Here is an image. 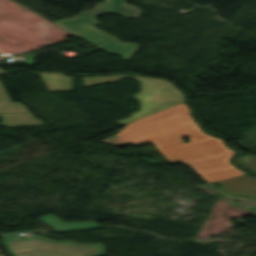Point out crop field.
<instances>
[{
	"instance_id": "obj_1",
	"label": "crop field",
	"mask_w": 256,
	"mask_h": 256,
	"mask_svg": "<svg viewBox=\"0 0 256 256\" xmlns=\"http://www.w3.org/2000/svg\"><path fill=\"white\" fill-rule=\"evenodd\" d=\"M185 136L191 141L183 144L182 137ZM148 141L156 144L171 163L189 165L208 182L245 173L229 163V157L236 151L227 148L222 140L202 132L184 102L133 121L115 136L101 142L137 146Z\"/></svg>"
},
{
	"instance_id": "obj_2",
	"label": "crop field",
	"mask_w": 256,
	"mask_h": 256,
	"mask_svg": "<svg viewBox=\"0 0 256 256\" xmlns=\"http://www.w3.org/2000/svg\"><path fill=\"white\" fill-rule=\"evenodd\" d=\"M103 11L121 14L125 17H139L140 15L139 8L126 5L123 0H108L107 3L87 11L75 19H63L53 23L104 52L119 54L123 60H128L139 44L122 43L118 39L94 28L93 26L98 24L94 16Z\"/></svg>"
},
{
	"instance_id": "obj_3",
	"label": "crop field",
	"mask_w": 256,
	"mask_h": 256,
	"mask_svg": "<svg viewBox=\"0 0 256 256\" xmlns=\"http://www.w3.org/2000/svg\"><path fill=\"white\" fill-rule=\"evenodd\" d=\"M134 77L140 83L141 89L131 98L140 103V108L139 111L132 113L130 118L116 121L121 125L184 101L181 94L165 80Z\"/></svg>"
},
{
	"instance_id": "obj_4",
	"label": "crop field",
	"mask_w": 256,
	"mask_h": 256,
	"mask_svg": "<svg viewBox=\"0 0 256 256\" xmlns=\"http://www.w3.org/2000/svg\"><path fill=\"white\" fill-rule=\"evenodd\" d=\"M30 116L31 118H28ZM0 117L3 125L8 127L44 125L34 119L33 115L20 102H12L0 83Z\"/></svg>"
},
{
	"instance_id": "obj_5",
	"label": "crop field",
	"mask_w": 256,
	"mask_h": 256,
	"mask_svg": "<svg viewBox=\"0 0 256 256\" xmlns=\"http://www.w3.org/2000/svg\"><path fill=\"white\" fill-rule=\"evenodd\" d=\"M219 182L224 185L216 189L221 193L232 197L245 196L256 200V177L254 176L244 174Z\"/></svg>"
},
{
	"instance_id": "obj_6",
	"label": "crop field",
	"mask_w": 256,
	"mask_h": 256,
	"mask_svg": "<svg viewBox=\"0 0 256 256\" xmlns=\"http://www.w3.org/2000/svg\"><path fill=\"white\" fill-rule=\"evenodd\" d=\"M234 161L240 167H242L248 171L256 173V160L255 159H253L249 156H246V157L238 156L234 159Z\"/></svg>"
},
{
	"instance_id": "obj_7",
	"label": "crop field",
	"mask_w": 256,
	"mask_h": 256,
	"mask_svg": "<svg viewBox=\"0 0 256 256\" xmlns=\"http://www.w3.org/2000/svg\"><path fill=\"white\" fill-rule=\"evenodd\" d=\"M114 76L83 78L84 86L114 82Z\"/></svg>"
},
{
	"instance_id": "obj_8",
	"label": "crop field",
	"mask_w": 256,
	"mask_h": 256,
	"mask_svg": "<svg viewBox=\"0 0 256 256\" xmlns=\"http://www.w3.org/2000/svg\"><path fill=\"white\" fill-rule=\"evenodd\" d=\"M122 77H133V76H125V75L115 76L116 81H118Z\"/></svg>"
},
{
	"instance_id": "obj_9",
	"label": "crop field",
	"mask_w": 256,
	"mask_h": 256,
	"mask_svg": "<svg viewBox=\"0 0 256 256\" xmlns=\"http://www.w3.org/2000/svg\"><path fill=\"white\" fill-rule=\"evenodd\" d=\"M5 71L0 68V73H4Z\"/></svg>"
},
{
	"instance_id": "obj_10",
	"label": "crop field",
	"mask_w": 256,
	"mask_h": 256,
	"mask_svg": "<svg viewBox=\"0 0 256 256\" xmlns=\"http://www.w3.org/2000/svg\"><path fill=\"white\" fill-rule=\"evenodd\" d=\"M0 256H2V255H0Z\"/></svg>"
}]
</instances>
